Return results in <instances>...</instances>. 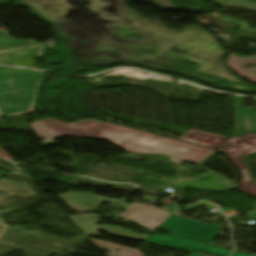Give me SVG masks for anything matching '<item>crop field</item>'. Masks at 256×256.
<instances>
[{"instance_id": "crop-field-1", "label": "crop field", "mask_w": 256, "mask_h": 256, "mask_svg": "<svg viewBox=\"0 0 256 256\" xmlns=\"http://www.w3.org/2000/svg\"><path fill=\"white\" fill-rule=\"evenodd\" d=\"M38 137L52 141L57 138L71 136L75 138L93 137L114 142V145L133 153H159L172 156L175 163L184 160L196 164L210 155L213 150L193 146L183 142L147 134L139 131L116 126L110 123L87 120L80 123L68 124L49 118L29 125ZM157 140L147 146L143 144L148 139Z\"/></svg>"}, {"instance_id": "crop-field-2", "label": "crop field", "mask_w": 256, "mask_h": 256, "mask_svg": "<svg viewBox=\"0 0 256 256\" xmlns=\"http://www.w3.org/2000/svg\"><path fill=\"white\" fill-rule=\"evenodd\" d=\"M42 76L36 71L0 67V116L33 112Z\"/></svg>"}, {"instance_id": "crop-field-3", "label": "crop field", "mask_w": 256, "mask_h": 256, "mask_svg": "<svg viewBox=\"0 0 256 256\" xmlns=\"http://www.w3.org/2000/svg\"><path fill=\"white\" fill-rule=\"evenodd\" d=\"M177 226H180V229H177ZM161 228L173 231L174 235L205 243H209L222 230L220 226H210L176 216H171Z\"/></svg>"}, {"instance_id": "crop-field-4", "label": "crop field", "mask_w": 256, "mask_h": 256, "mask_svg": "<svg viewBox=\"0 0 256 256\" xmlns=\"http://www.w3.org/2000/svg\"><path fill=\"white\" fill-rule=\"evenodd\" d=\"M234 145L230 148H222L243 172L242 190L256 196V186L249 180V173L243 165L240 157L256 152V135L248 134L242 139L232 138Z\"/></svg>"}, {"instance_id": "crop-field-5", "label": "crop field", "mask_w": 256, "mask_h": 256, "mask_svg": "<svg viewBox=\"0 0 256 256\" xmlns=\"http://www.w3.org/2000/svg\"><path fill=\"white\" fill-rule=\"evenodd\" d=\"M46 44H34L0 51V64L31 68ZM10 57V59H7Z\"/></svg>"}, {"instance_id": "crop-field-6", "label": "crop field", "mask_w": 256, "mask_h": 256, "mask_svg": "<svg viewBox=\"0 0 256 256\" xmlns=\"http://www.w3.org/2000/svg\"><path fill=\"white\" fill-rule=\"evenodd\" d=\"M61 199L66 200V205L70 206L72 210L76 212H87V211H94L96 210L99 205L103 201L111 202L118 207L127 210L130 209L133 205L131 204H125L126 201H113L109 199H105L90 193H71L68 192L62 196H60ZM84 202L94 206L89 207Z\"/></svg>"}, {"instance_id": "crop-field-7", "label": "crop field", "mask_w": 256, "mask_h": 256, "mask_svg": "<svg viewBox=\"0 0 256 256\" xmlns=\"http://www.w3.org/2000/svg\"><path fill=\"white\" fill-rule=\"evenodd\" d=\"M148 243H154L159 246L176 247L180 246L188 251L205 250L220 256H227L230 250L214 247L208 244L196 242L193 240L177 237V236H163L157 234L146 240Z\"/></svg>"}, {"instance_id": "crop-field-8", "label": "crop field", "mask_w": 256, "mask_h": 256, "mask_svg": "<svg viewBox=\"0 0 256 256\" xmlns=\"http://www.w3.org/2000/svg\"><path fill=\"white\" fill-rule=\"evenodd\" d=\"M127 214L130 216H126ZM127 214H121L119 216L138 222L153 231L170 215L168 212L144 204L135 205Z\"/></svg>"}, {"instance_id": "crop-field-9", "label": "crop field", "mask_w": 256, "mask_h": 256, "mask_svg": "<svg viewBox=\"0 0 256 256\" xmlns=\"http://www.w3.org/2000/svg\"><path fill=\"white\" fill-rule=\"evenodd\" d=\"M71 221H75L74 223L79 226V228L87 235L93 236L98 235L97 230L101 229L113 235L131 238L135 240H145L148 236L134 234L130 231H126L122 228L112 227V226H95L94 222L98 221L97 215H87V216H76L69 218Z\"/></svg>"}, {"instance_id": "crop-field-10", "label": "crop field", "mask_w": 256, "mask_h": 256, "mask_svg": "<svg viewBox=\"0 0 256 256\" xmlns=\"http://www.w3.org/2000/svg\"><path fill=\"white\" fill-rule=\"evenodd\" d=\"M256 133V109L242 108V97L236 96V134Z\"/></svg>"}, {"instance_id": "crop-field-11", "label": "crop field", "mask_w": 256, "mask_h": 256, "mask_svg": "<svg viewBox=\"0 0 256 256\" xmlns=\"http://www.w3.org/2000/svg\"><path fill=\"white\" fill-rule=\"evenodd\" d=\"M210 179V182H205L201 184L192 183V182H182V186L180 187H189L196 190H205V191H227L237 187V184L234 182L224 178L223 176L215 173L210 172V174L203 175ZM203 177V178H204ZM196 182V181H195Z\"/></svg>"}, {"instance_id": "crop-field-12", "label": "crop field", "mask_w": 256, "mask_h": 256, "mask_svg": "<svg viewBox=\"0 0 256 256\" xmlns=\"http://www.w3.org/2000/svg\"><path fill=\"white\" fill-rule=\"evenodd\" d=\"M225 137L211 135L203 132H198L190 130L186 135H184L181 140L209 146L215 148L216 146L228 145L229 142H226Z\"/></svg>"}, {"instance_id": "crop-field-13", "label": "crop field", "mask_w": 256, "mask_h": 256, "mask_svg": "<svg viewBox=\"0 0 256 256\" xmlns=\"http://www.w3.org/2000/svg\"><path fill=\"white\" fill-rule=\"evenodd\" d=\"M24 44H30V42L12 39L10 36L6 35L5 33H3L0 36V48L18 46V45H24Z\"/></svg>"}, {"instance_id": "crop-field-14", "label": "crop field", "mask_w": 256, "mask_h": 256, "mask_svg": "<svg viewBox=\"0 0 256 256\" xmlns=\"http://www.w3.org/2000/svg\"><path fill=\"white\" fill-rule=\"evenodd\" d=\"M218 152L214 151L210 156H208L205 160H203L199 165L203 166L205 163H207L210 159H212Z\"/></svg>"}, {"instance_id": "crop-field-15", "label": "crop field", "mask_w": 256, "mask_h": 256, "mask_svg": "<svg viewBox=\"0 0 256 256\" xmlns=\"http://www.w3.org/2000/svg\"><path fill=\"white\" fill-rule=\"evenodd\" d=\"M247 218H256V210H253L249 213V216Z\"/></svg>"}, {"instance_id": "crop-field-16", "label": "crop field", "mask_w": 256, "mask_h": 256, "mask_svg": "<svg viewBox=\"0 0 256 256\" xmlns=\"http://www.w3.org/2000/svg\"><path fill=\"white\" fill-rule=\"evenodd\" d=\"M232 256H248V255H243V254H238V253H233Z\"/></svg>"}, {"instance_id": "crop-field-17", "label": "crop field", "mask_w": 256, "mask_h": 256, "mask_svg": "<svg viewBox=\"0 0 256 256\" xmlns=\"http://www.w3.org/2000/svg\"><path fill=\"white\" fill-rule=\"evenodd\" d=\"M155 140H152V139H150V140H148L145 144H151L152 142H154Z\"/></svg>"}, {"instance_id": "crop-field-18", "label": "crop field", "mask_w": 256, "mask_h": 256, "mask_svg": "<svg viewBox=\"0 0 256 256\" xmlns=\"http://www.w3.org/2000/svg\"><path fill=\"white\" fill-rule=\"evenodd\" d=\"M188 256H196V255H194V254H191V255H188Z\"/></svg>"}]
</instances>
